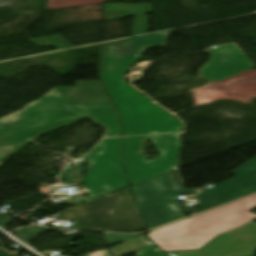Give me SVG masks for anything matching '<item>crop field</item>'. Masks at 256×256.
Listing matches in <instances>:
<instances>
[{
    "label": "crop field",
    "mask_w": 256,
    "mask_h": 256,
    "mask_svg": "<svg viewBox=\"0 0 256 256\" xmlns=\"http://www.w3.org/2000/svg\"><path fill=\"white\" fill-rule=\"evenodd\" d=\"M144 7L145 5L106 4L104 21L152 13L150 5L149 12H144Z\"/></svg>",
    "instance_id": "crop-field-11"
},
{
    "label": "crop field",
    "mask_w": 256,
    "mask_h": 256,
    "mask_svg": "<svg viewBox=\"0 0 256 256\" xmlns=\"http://www.w3.org/2000/svg\"><path fill=\"white\" fill-rule=\"evenodd\" d=\"M131 187L149 229L185 217L176 196L196 194L185 191L179 169Z\"/></svg>",
    "instance_id": "crop-field-5"
},
{
    "label": "crop field",
    "mask_w": 256,
    "mask_h": 256,
    "mask_svg": "<svg viewBox=\"0 0 256 256\" xmlns=\"http://www.w3.org/2000/svg\"><path fill=\"white\" fill-rule=\"evenodd\" d=\"M74 222L70 228L136 232L147 229L129 188L57 213Z\"/></svg>",
    "instance_id": "crop-field-4"
},
{
    "label": "crop field",
    "mask_w": 256,
    "mask_h": 256,
    "mask_svg": "<svg viewBox=\"0 0 256 256\" xmlns=\"http://www.w3.org/2000/svg\"><path fill=\"white\" fill-rule=\"evenodd\" d=\"M25 249L21 248L16 250L15 252L12 253H7L6 251H4L3 249H0V256H15L18 254V252L20 251H24Z\"/></svg>",
    "instance_id": "crop-field-18"
},
{
    "label": "crop field",
    "mask_w": 256,
    "mask_h": 256,
    "mask_svg": "<svg viewBox=\"0 0 256 256\" xmlns=\"http://www.w3.org/2000/svg\"><path fill=\"white\" fill-rule=\"evenodd\" d=\"M141 139L154 143L161 155L151 161L140 154ZM180 134L123 138L124 163L130 184L177 169Z\"/></svg>",
    "instance_id": "crop-field-7"
},
{
    "label": "crop field",
    "mask_w": 256,
    "mask_h": 256,
    "mask_svg": "<svg viewBox=\"0 0 256 256\" xmlns=\"http://www.w3.org/2000/svg\"><path fill=\"white\" fill-rule=\"evenodd\" d=\"M170 256H255L256 223L252 222L232 237L220 235L199 251L167 252Z\"/></svg>",
    "instance_id": "crop-field-10"
},
{
    "label": "crop field",
    "mask_w": 256,
    "mask_h": 256,
    "mask_svg": "<svg viewBox=\"0 0 256 256\" xmlns=\"http://www.w3.org/2000/svg\"><path fill=\"white\" fill-rule=\"evenodd\" d=\"M148 24L149 14L134 17L132 36L148 33Z\"/></svg>",
    "instance_id": "crop-field-15"
},
{
    "label": "crop field",
    "mask_w": 256,
    "mask_h": 256,
    "mask_svg": "<svg viewBox=\"0 0 256 256\" xmlns=\"http://www.w3.org/2000/svg\"><path fill=\"white\" fill-rule=\"evenodd\" d=\"M160 251V250H159ZM155 246H151L145 250H143L139 256H166L159 252Z\"/></svg>",
    "instance_id": "crop-field-17"
},
{
    "label": "crop field",
    "mask_w": 256,
    "mask_h": 256,
    "mask_svg": "<svg viewBox=\"0 0 256 256\" xmlns=\"http://www.w3.org/2000/svg\"><path fill=\"white\" fill-rule=\"evenodd\" d=\"M256 194L149 233L164 251L199 250L218 235L231 236L256 219Z\"/></svg>",
    "instance_id": "crop-field-3"
},
{
    "label": "crop field",
    "mask_w": 256,
    "mask_h": 256,
    "mask_svg": "<svg viewBox=\"0 0 256 256\" xmlns=\"http://www.w3.org/2000/svg\"><path fill=\"white\" fill-rule=\"evenodd\" d=\"M112 1H116V0H112Z\"/></svg>",
    "instance_id": "crop-field-19"
},
{
    "label": "crop field",
    "mask_w": 256,
    "mask_h": 256,
    "mask_svg": "<svg viewBox=\"0 0 256 256\" xmlns=\"http://www.w3.org/2000/svg\"><path fill=\"white\" fill-rule=\"evenodd\" d=\"M212 55L201 68L200 77L220 82L256 68L252 61L234 43L208 50Z\"/></svg>",
    "instance_id": "crop-field-9"
},
{
    "label": "crop field",
    "mask_w": 256,
    "mask_h": 256,
    "mask_svg": "<svg viewBox=\"0 0 256 256\" xmlns=\"http://www.w3.org/2000/svg\"><path fill=\"white\" fill-rule=\"evenodd\" d=\"M229 174L236 177L204 191L198 197L196 214L256 192V157Z\"/></svg>",
    "instance_id": "crop-field-8"
},
{
    "label": "crop field",
    "mask_w": 256,
    "mask_h": 256,
    "mask_svg": "<svg viewBox=\"0 0 256 256\" xmlns=\"http://www.w3.org/2000/svg\"><path fill=\"white\" fill-rule=\"evenodd\" d=\"M86 157L89 163L84 184L90 196L72 200L76 205L128 186L121 163L120 138L102 140Z\"/></svg>",
    "instance_id": "crop-field-6"
},
{
    "label": "crop field",
    "mask_w": 256,
    "mask_h": 256,
    "mask_svg": "<svg viewBox=\"0 0 256 256\" xmlns=\"http://www.w3.org/2000/svg\"><path fill=\"white\" fill-rule=\"evenodd\" d=\"M29 41H31L32 43H34L38 46L53 47L57 50L73 47L64 38H62L60 35L45 37V38H39V39H33V40H29Z\"/></svg>",
    "instance_id": "crop-field-13"
},
{
    "label": "crop field",
    "mask_w": 256,
    "mask_h": 256,
    "mask_svg": "<svg viewBox=\"0 0 256 256\" xmlns=\"http://www.w3.org/2000/svg\"><path fill=\"white\" fill-rule=\"evenodd\" d=\"M151 244L147 237L143 235L130 239L116 247L113 246L114 248L109 249V251L114 256H127Z\"/></svg>",
    "instance_id": "crop-field-12"
},
{
    "label": "crop field",
    "mask_w": 256,
    "mask_h": 256,
    "mask_svg": "<svg viewBox=\"0 0 256 256\" xmlns=\"http://www.w3.org/2000/svg\"><path fill=\"white\" fill-rule=\"evenodd\" d=\"M51 230H54V229H51ZM51 230L46 227H29L27 229L20 228L16 230V233H18L17 237L21 238L22 241H25L26 243H28L29 241L32 240V238L35 235L42 234L45 231H51Z\"/></svg>",
    "instance_id": "crop-field-14"
},
{
    "label": "crop field",
    "mask_w": 256,
    "mask_h": 256,
    "mask_svg": "<svg viewBox=\"0 0 256 256\" xmlns=\"http://www.w3.org/2000/svg\"><path fill=\"white\" fill-rule=\"evenodd\" d=\"M169 32L104 45L102 82L122 116L123 136L181 132L178 120L124 80L132 64L151 47L165 46Z\"/></svg>",
    "instance_id": "crop-field-2"
},
{
    "label": "crop field",
    "mask_w": 256,
    "mask_h": 256,
    "mask_svg": "<svg viewBox=\"0 0 256 256\" xmlns=\"http://www.w3.org/2000/svg\"><path fill=\"white\" fill-rule=\"evenodd\" d=\"M137 235H140V234L130 235V234L106 233L105 240L109 243V245H112L120 241L135 237Z\"/></svg>",
    "instance_id": "crop-field-16"
},
{
    "label": "crop field",
    "mask_w": 256,
    "mask_h": 256,
    "mask_svg": "<svg viewBox=\"0 0 256 256\" xmlns=\"http://www.w3.org/2000/svg\"><path fill=\"white\" fill-rule=\"evenodd\" d=\"M115 111L100 82H77L76 88H55L28 108L19 122L0 124V160L51 129L87 117L106 128L102 138L120 136Z\"/></svg>",
    "instance_id": "crop-field-1"
}]
</instances>
